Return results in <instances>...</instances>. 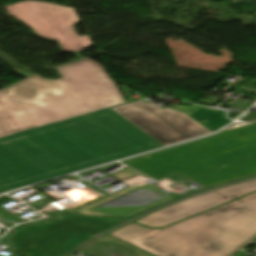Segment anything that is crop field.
Returning <instances> with one entry per match:
<instances>
[{
  "instance_id": "3",
  "label": "crop field",
  "mask_w": 256,
  "mask_h": 256,
  "mask_svg": "<svg viewBox=\"0 0 256 256\" xmlns=\"http://www.w3.org/2000/svg\"><path fill=\"white\" fill-rule=\"evenodd\" d=\"M256 234V193L155 230L131 223L110 235L155 256H227Z\"/></svg>"
},
{
  "instance_id": "1",
  "label": "crop field",
  "mask_w": 256,
  "mask_h": 256,
  "mask_svg": "<svg viewBox=\"0 0 256 256\" xmlns=\"http://www.w3.org/2000/svg\"><path fill=\"white\" fill-rule=\"evenodd\" d=\"M162 147L110 108L0 138V192Z\"/></svg>"
},
{
  "instance_id": "7",
  "label": "crop field",
  "mask_w": 256,
  "mask_h": 256,
  "mask_svg": "<svg viewBox=\"0 0 256 256\" xmlns=\"http://www.w3.org/2000/svg\"><path fill=\"white\" fill-rule=\"evenodd\" d=\"M256 190V179L234 184L188 199L152 213L136 222L148 227H162ZM165 227V226H164Z\"/></svg>"
},
{
  "instance_id": "11",
  "label": "crop field",
  "mask_w": 256,
  "mask_h": 256,
  "mask_svg": "<svg viewBox=\"0 0 256 256\" xmlns=\"http://www.w3.org/2000/svg\"><path fill=\"white\" fill-rule=\"evenodd\" d=\"M255 16H256V13H255Z\"/></svg>"
},
{
  "instance_id": "2",
  "label": "crop field",
  "mask_w": 256,
  "mask_h": 256,
  "mask_svg": "<svg viewBox=\"0 0 256 256\" xmlns=\"http://www.w3.org/2000/svg\"><path fill=\"white\" fill-rule=\"evenodd\" d=\"M57 70L64 79L36 75L0 93V137L125 103L114 82L89 60Z\"/></svg>"
},
{
  "instance_id": "9",
  "label": "crop field",
  "mask_w": 256,
  "mask_h": 256,
  "mask_svg": "<svg viewBox=\"0 0 256 256\" xmlns=\"http://www.w3.org/2000/svg\"><path fill=\"white\" fill-rule=\"evenodd\" d=\"M235 2L256 3V0H230Z\"/></svg>"
},
{
  "instance_id": "10",
  "label": "crop field",
  "mask_w": 256,
  "mask_h": 256,
  "mask_svg": "<svg viewBox=\"0 0 256 256\" xmlns=\"http://www.w3.org/2000/svg\"><path fill=\"white\" fill-rule=\"evenodd\" d=\"M254 241H256V239Z\"/></svg>"
},
{
  "instance_id": "8",
  "label": "crop field",
  "mask_w": 256,
  "mask_h": 256,
  "mask_svg": "<svg viewBox=\"0 0 256 256\" xmlns=\"http://www.w3.org/2000/svg\"><path fill=\"white\" fill-rule=\"evenodd\" d=\"M132 190H134V189H132V188H130V187H127V188H125V189H122V190H119V191L113 193V194H114L113 196L105 197V198H103V199H100V200H98V201H95V202H93V203H90V204H88V205H85V206H83V207L70 209V210H68L67 212H68V213L83 214V215H87V216L116 217V216H111V215H107V214H102V213H97V212H93V211H88V210H85V209H87V208H89V207H92V206H94V205H97V204H99V203H102V202H104V201H107V200H109V199H112V198H114V197H117V196H119V195H122V194H124V193H127V192H129V191H132Z\"/></svg>"
},
{
  "instance_id": "6",
  "label": "crop field",
  "mask_w": 256,
  "mask_h": 256,
  "mask_svg": "<svg viewBox=\"0 0 256 256\" xmlns=\"http://www.w3.org/2000/svg\"><path fill=\"white\" fill-rule=\"evenodd\" d=\"M6 9L8 14L28 24L39 36L59 41L63 51L78 52L92 46L88 36H76L72 26L79 18L72 8L24 1L6 6Z\"/></svg>"
},
{
  "instance_id": "5",
  "label": "crop field",
  "mask_w": 256,
  "mask_h": 256,
  "mask_svg": "<svg viewBox=\"0 0 256 256\" xmlns=\"http://www.w3.org/2000/svg\"><path fill=\"white\" fill-rule=\"evenodd\" d=\"M112 109L164 146L211 133L183 112L150 102L139 100Z\"/></svg>"
},
{
  "instance_id": "4",
  "label": "crop field",
  "mask_w": 256,
  "mask_h": 256,
  "mask_svg": "<svg viewBox=\"0 0 256 256\" xmlns=\"http://www.w3.org/2000/svg\"><path fill=\"white\" fill-rule=\"evenodd\" d=\"M118 221L70 215L48 226L20 229L13 241L16 249L31 252L32 256H60Z\"/></svg>"
}]
</instances>
